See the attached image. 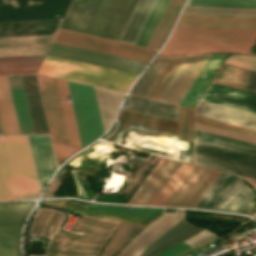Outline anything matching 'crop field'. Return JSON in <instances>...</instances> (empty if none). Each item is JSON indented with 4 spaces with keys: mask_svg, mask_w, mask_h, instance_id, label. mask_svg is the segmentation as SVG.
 <instances>
[{
    "mask_svg": "<svg viewBox=\"0 0 256 256\" xmlns=\"http://www.w3.org/2000/svg\"><path fill=\"white\" fill-rule=\"evenodd\" d=\"M96 98L101 116L103 130L105 131L111 124L120 102L125 94L96 88Z\"/></svg>",
    "mask_w": 256,
    "mask_h": 256,
    "instance_id": "obj_29",
    "label": "crop field"
},
{
    "mask_svg": "<svg viewBox=\"0 0 256 256\" xmlns=\"http://www.w3.org/2000/svg\"><path fill=\"white\" fill-rule=\"evenodd\" d=\"M122 109L175 121L176 106L131 95L127 96Z\"/></svg>",
    "mask_w": 256,
    "mask_h": 256,
    "instance_id": "obj_24",
    "label": "crop field"
},
{
    "mask_svg": "<svg viewBox=\"0 0 256 256\" xmlns=\"http://www.w3.org/2000/svg\"><path fill=\"white\" fill-rule=\"evenodd\" d=\"M202 100L256 113V93L211 82Z\"/></svg>",
    "mask_w": 256,
    "mask_h": 256,
    "instance_id": "obj_16",
    "label": "crop field"
},
{
    "mask_svg": "<svg viewBox=\"0 0 256 256\" xmlns=\"http://www.w3.org/2000/svg\"><path fill=\"white\" fill-rule=\"evenodd\" d=\"M137 0H74L61 28L117 41Z\"/></svg>",
    "mask_w": 256,
    "mask_h": 256,
    "instance_id": "obj_2",
    "label": "crop field"
},
{
    "mask_svg": "<svg viewBox=\"0 0 256 256\" xmlns=\"http://www.w3.org/2000/svg\"><path fill=\"white\" fill-rule=\"evenodd\" d=\"M186 6L256 8V0H188Z\"/></svg>",
    "mask_w": 256,
    "mask_h": 256,
    "instance_id": "obj_39",
    "label": "crop field"
},
{
    "mask_svg": "<svg viewBox=\"0 0 256 256\" xmlns=\"http://www.w3.org/2000/svg\"><path fill=\"white\" fill-rule=\"evenodd\" d=\"M225 56L226 54H211L208 61L204 65L203 69L181 102L182 105L194 107L198 100L197 97L201 96L202 92L206 88L207 84L213 77Z\"/></svg>",
    "mask_w": 256,
    "mask_h": 256,
    "instance_id": "obj_25",
    "label": "crop field"
},
{
    "mask_svg": "<svg viewBox=\"0 0 256 256\" xmlns=\"http://www.w3.org/2000/svg\"><path fill=\"white\" fill-rule=\"evenodd\" d=\"M193 164L256 179V155L196 140Z\"/></svg>",
    "mask_w": 256,
    "mask_h": 256,
    "instance_id": "obj_8",
    "label": "crop field"
},
{
    "mask_svg": "<svg viewBox=\"0 0 256 256\" xmlns=\"http://www.w3.org/2000/svg\"><path fill=\"white\" fill-rule=\"evenodd\" d=\"M209 56L210 54L187 55L159 100L180 104Z\"/></svg>",
    "mask_w": 256,
    "mask_h": 256,
    "instance_id": "obj_15",
    "label": "crop field"
},
{
    "mask_svg": "<svg viewBox=\"0 0 256 256\" xmlns=\"http://www.w3.org/2000/svg\"><path fill=\"white\" fill-rule=\"evenodd\" d=\"M40 190L56 170L49 136H28Z\"/></svg>",
    "mask_w": 256,
    "mask_h": 256,
    "instance_id": "obj_20",
    "label": "crop field"
},
{
    "mask_svg": "<svg viewBox=\"0 0 256 256\" xmlns=\"http://www.w3.org/2000/svg\"><path fill=\"white\" fill-rule=\"evenodd\" d=\"M154 0H140L120 41L133 44Z\"/></svg>",
    "mask_w": 256,
    "mask_h": 256,
    "instance_id": "obj_33",
    "label": "crop field"
},
{
    "mask_svg": "<svg viewBox=\"0 0 256 256\" xmlns=\"http://www.w3.org/2000/svg\"><path fill=\"white\" fill-rule=\"evenodd\" d=\"M74 228L85 230L83 236L57 232L46 256H97L114 226L79 217ZM58 241L62 243L57 244Z\"/></svg>",
    "mask_w": 256,
    "mask_h": 256,
    "instance_id": "obj_7",
    "label": "crop field"
},
{
    "mask_svg": "<svg viewBox=\"0 0 256 256\" xmlns=\"http://www.w3.org/2000/svg\"><path fill=\"white\" fill-rule=\"evenodd\" d=\"M143 226L122 222L115 235L106 245L101 256H112L133 234Z\"/></svg>",
    "mask_w": 256,
    "mask_h": 256,
    "instance_id": "obj_35",
    "label": "crop field"
},
{
    "mask_svg": "<svg viewBox=\"0 0 256 256\" xmlns=\"http://www.w3.org/2000/svg\"><path fill=\"white\" fill-rule=\"evenodd\" d=\"M256 31L175 28L160 54L232 52L249 54Z\"/></svg>",
    "mask_w": 256,
    "mask_h": 256,
    "instance_id": "obj_4",
    "label": "crop field"
},
{
    "mask_svg": "<svg viewBox=\"0 0 256 256\" xmlns=\"http://www.w3.org/2000/svg\"><path fill=\"white\" fill-rule=\"evenodd\" d=\"M63 209H66L71 212L85 213V214L114 218V219L137 223L141 225H146L147 223L150 222L149 220L136 218L128 215H123L115 212L81 209V208H76V207L67 206V205H64Z\"/></svg>",
    "mask_w": 256,
    "mask_h": 256,
    "instance_id": "obj_40",
    "label": "crop field"
},
{
    "mask_svg": "<svg viewBox=\"0 0 256 256\" xmlns=\"http://www.w3.org/2000/svg\"><path fill=\"white\" fill-rule=\"evenodd\" d=\"M20 134H33L20 76H7Z\"/></svg>",
    "mask_w": 256,
    "mask_h": 256,
    "instance_id": "obj_27",
    "label": "crop field"
},
{
    "mask_svg": "<svg viewBox=\"0 0 256 256\" xmlns=\"http://www.w3.org/2000/svg\"><path fill=\"white\" fill-rule=\"evenodd\" d=\"M53 35L0 38V56L44 54Z\"/></svg>",
    "mask_w": 256,
    "mask_h": 256,
    "instance_id": "obj_21",
    "label": "crop field"
},
{
    "mask_svg": "<svg viewBox=\"0 0 256 256\" xmlns=\"http://www.w3.org/2000/svg\"><path fill=\"white\" fill-rule=\"evenodd\" d=\"M53 213H54V211L41 209L38 216L36 215L37 216L36 219L34 218L35 221L30 229L29 235H30V233H32L38 237L49 238L54 233L56 225H57L58 221L60 220V218L62 217V214L58 213L57 217L55 218V220L52 223L49 234H47V233H45L46 226L48 224L49 219L53 215Z\"/></svg>",
    "mask_w": 256,
    "mask_h": 256,
    "instance_id": "obj_38",
    "label": "crop field"
},
{
    "mask_svg": "<svg viewBox=\"0 0 256 256\" xmlns=\"http://www.w3.org/2000/svg\"><path fill=\"white\" fill-rule=\"evenodd\" d=\"M183 218V215L164 213L138 234L117 256H139L157 237ZM200 228L182 220L153 241L140 256H150Z\"/></svg>",
    "mask_w": 256,
    "mask_h": 256,
    "instance_id": "obj_6",
    "label": "crop field"
},
{
    "mask_svg": "<svg viewBox=\"0 0 256 256\" xmlns=\"http://www.w3.org/2000/svg\"><path fill=\"white\" fill-rule=\"evenodd\" d=\"M34 134H48L35 75L21 76Z\"/></svg>",
    "mask_w": 256,
    "mask_h": 256,
    "instance_id": "obj_23",
    "label": "crop field"
},
{
    "mask_svg": "<svg viewBox=\"0 0 256 256\" xmlns=\"http://www.w3.org/2000/svg\"><path fill=\"white\" fill-rule=\"evenodd\" d=\"M47 54L118 69L122 71L132 72L136 74H139L142 69L147 65L146 62L64 46L55 43L51 44Z\"/></svg>",
    "mask_w": 256,
    "mask_h": 256,
    "instance_id": "obj_12",
    "label": "crop field"
},
{
    "mask_svg": "<svg viewBox=\"0 0 256 256\" xmlns=\"http://www.w3.org/2000/svg\"><path fill=\"white\" fill-rule=\"evenodd\" d=\"M56 213H54V215L52 216V218H51V220H50V222H49V224H48V227H47V230H46V232L48 233L49 232V229H50V226H51V223H52V221H53V219L56 217Z\"/></svg>",
    "mask_w": 256,
    "mask_h": 256,
    "instance_id": "obj_47",
    "label": "crop field"
},
{
    "mask_svg": "<svg viewBox=\"0 0 256 256\" xmlns=\"http://www.w3.org/2000/svg\"><path fill=\"white\" fill-rule=\"evenodd\" d=\"M195 114L256 130V114L202 101Z\"/></svg>",
    "mask_w": 256,
    "mask_h": 256,
    "instance_id": "obj_19",
    "label": "crop field"
},
{
    "mask_svg": "<svg viewBox=\"0 0 256 256\" xmlns=\"http://www.w3.org/2000/svg\"><path fill=\"white\" fill-rule=\"evenodd\" d=\"M220 174L195 166L165 206L194 208Z\"/></svg>",
    "mask_w": 256,
    "mask_h": 256,
    "instance_id": "obj_14",
    "label": "crop field"
},
{
    "mask_svg": "<svg viewBox=\"0 0 256 256\" xmlns=\"http://www.w3.org/2000/svg\"><path fill=\"white\" fill-rule=\"evenodd\" d=\"M193 167V165L182 163L150 205L164 206L175 190L193 169Z\"/></svg>",
    "mask_w": 256,
    "mask_h": 256,
    "instance_id": "obj_34",
    "label": "crop field"
},
{
    "mask_svg": "<svg viewBox=\"0 0 256 256\" xmlns=\"http://www.w3.org/2000/svg\"><path fill=\"white\" fill-rule=\"evenodd\" d=\"M33 202L0 204V232L20 233ZM0 233V256H18L20 234Z\"/></svg>",
    "mask_w": 256,
    "mask_h": 256,
    "instance_id": "obj_13",
    "label": "crop field"
},
{
    "mask_svg": "<svg viewBox=\"0 0 256 256\" xmlns=\"http://www.w3.org/2000/svg\"><path fill=\"white\" fill-rule=\"evenodd\" d=\"M53 42L146 62H149V60L157 52L155 50L66 32L62 30L58 31Z\"/></svg>",
    "mask_w": 256,
    "mask_h": 256,
    "instance_id": "obj_10",
    "label": "crop field"
},
{
    "mask_svg": "<svg viewBox=\"0 0 256 256\" xmlns=\"http://www.w3.org/2000/svg\"><path fill=\"white\" fill-rule=\"evenodd\" d=\"M0 134H2V132H1V127H0Z\"/></svg>",
    "mask_w": 256,
    "mask_h": 256,
    "instance_id": "obj_49",
    "label": "crop field"
},
{
    "mask_svg": "<svg viewBox=\"0 0 256 256\" xmlns=\"http://www.w3.org/2000/svg\"><path fill=\"white\" fill-rule=\"evenodd\" d=\"M182 14L256 16V9L185 7Z\"/></svg>",
    "mask_w": 256,
    "mask_h": 256,
    "instance_id": "obj_36",
    "label": "crop field"
},
{
    "mask_svg": "<svg viewBox=\"0 0 256 256\" xmlns=\"http://www.w3.org/2000/svg\"><path fill=\"white\" fill-rule=\"evenodd\" d=\"M214 238H216V237H214L212 234L203 230V231L197 233L196 235L190 237L189 239H187L183 242H185L188 245L194 247L196 245L207 242V241L212 240Z\"/></svg>",
    "mask_w": 256,
    "mask_h": 256,
    "instance_id": "obj_44",
    "label": "crop field"
},
{
    "mask_svg": "<svg viewBox=\"0 0 256 256\" xmlns=\"http://www.w3.org/2000/svg\"><path fill=\"white\" fill-rule=\"evenodd\" d=\"M43 55L0 57V75L35 73Z\"/></svg>",
    "mask_w": 256,
    "mask_h": 256,
    "instance_id": "obj_30",
    "label": "crop field"
},
{
    "mask_svg": "<svg viewBox=\"0 0 256 256\" xmlns=\"http://www.w3.org/2000/svg\"><path fill=\"white\" fill-rule=\"evenodd\" d=\"M169 0H155L134 44L146 47Z\"/></svg>",
    "mask_w": 256,
    "mask_h": 256,
    "instance_id": "obj_32",
    "label": "crop field"
},
{
    "mask_svg": "<svg viewBox=\"0 0 256 256\" xmlns=\"http://www.w3.org/2000/svg\"><path fill=\"white\" fill-rule=\"evenodd\" d=\"M0 122L3 134H19L6 76H0Z\"/></svg>",
    "mask_w": 256,
    "mask_h": 256,
    "instance_id": "obj_28",
    "label": "crop field"
},
{
    "mask_svg": "<svg viewBox=\"0 0 256 256\" xmlns=\"http://www.w3.org/2000/svg\"><path fill=\"white\" fill-rule=\"evenodd\" d=\"M195 121L256 137V131L195 115Z\"/></svg>",
    "mask_w": 256,
    "mask_h": 256,
    "instance_id": "obj_42",
    "label": "crop field"
},
{
    "mask_svg": "<svg viewBox=\"0 0 256 256\" xmlns=\"http://www.w3.org/2000/svg\"><path fill=\"white\" fill-rule=\"evenodd\" d=\"M252 54H256V47L252 50Z\"/></svg>",
    "mask_w": 256,
    "mask_h": 256,
    "instance_id": "obj_48",
    "label": "crop field"
},
{
    "mask_svg": "<svg viewBox=\"0 0 256 256\" xmlns=\"http://www.w3.org/2000/svg\"><path fill=\"white\" fill-rule=\"evenodd\" d=\"M176 27L256 30V18L182 15Z\"/></svg>",
    "mask_w": 256,
    "mask_h": 256,
    "instance_id": "obj_18",
    "label": "crop field"
},
{
    "mask_svg": "<svg viewBox=\"0 0 256 256\" xmlns=\"http://www.w3.org/2000/svg\"><path fill=\"white\" fill-rule=\"evenodd\" d=\"M180 162L162 158L128 204L149 205L180 166Z\"/></svg>",
    "mask_w": 256,
    "mask_h": 256,
    "instance_id": "obj_17",
    "label": "crop field"
},
{
    "mask_svg": "<svg viewBox=\"0 0 256 256\" xmlns=\"http://www.w3.org/2000/svg\"><path fill=\"white\" fill-rule=\"evenodd\" d=\"M190 248H192V247H190L187 244L182 242V243L166 250L165 252H163V253H161L157 256H175V255H177V254H179V253H181V252H183L187 249H190Z\"/></svg>",
    "mask_w": 256,
    "mask_h": 256,
    "instance_id": "obj_45",
    "label": "crop field"
},
{
    "mask_svg": "<svg viewBox=\"0 0 256 256\" xmlns=\"http://www.w3.org/2000/svg\"><path fill=\"white\" fill-rule=\"evenodd\" d=\"M213 82L256 92V72L223 64Z\"/></svg>",
    "mask_w": 256,
    "mask_h": 256,
    "instance_id": "obj_26",
    "label": "crop field"
},
{
    "mask_svg": "<svg viewBox=\"0 0 256 256\" xmlns=\"http://www.w3.org/2000/svg\"><path fill=\"white\" fill-rule=\"evenodd\" d=\"M225 64L256 71V56L231 55Z\"/></svg>",
    "mask_w": 256,
    "mask_h": 256,
    "instance_id": "obj_43",
    "label": "crop field"
},
{
    "mask_svg": "<svg viewBox=\"0 0 256 256\" xmlns=\"http://www.w3.org/2000/svg\"><path fill=\"white\" fill-rule=\"evenodd\" d=\"M37 77L59 166L69 156L81 150L67 83L50 77Z\"/></svg>",
    "mask_w": 256,
    "mask_h": 256,
    "instance_id": "obj_1",
    "label": "crop field"
},
{
    "mask_svg": "<svg viewBox=\"0 0 256 256\" xmlns=\"http://www.w3.org/2000/svg\"><path fill=\"white\" fill-rule=\"evenodd\" d=\"M40 74L127 92L136 74L47 55Z\"/></svg>",
    "mask_w": 256,
    "mask_h": 256,
    "instance_id": "obj_5",
    "label": "crop field"
},
{
    "mask_svg": "<svg viewBox=\"0 0 256 256\" xmlns=\"http://www.w3.org/2000/svg\"><path fill=\"white\" fill-rule=\"evenodd\" d=\"M84 208L115 211V212L128 214L136 217H141L149 220H152L163 211V209H146V208L102 206V205H84Z\"/></svg>",
    "mask_w": 256,
    "mask_h": 256,
    "instance_id": "obj_37",
    "label": "crop field"
},
{
    "mask_svg": "<svg viewBox=\"0 0 256 256\" xmlns=\"http://www.w3.org/2000/svg\"><path fill=\"white\" fill-rule=\"evenodd\" d=\"M184 0H170L147 47L159 49L166 38Z\"/></svg>",
    "mask_w": 256,
    "mask_h": 256,
    "instance_id": "obj_31",
    "label": "crop field"
},
{
    "mask_svg": "<svg viewBox=\"0 0 256 256\" xmlns=\"http://www.w3.org/2000/svg\"><path fill=\"white\" fill-rule=\"evenodd\" d=\"M67 83L72 99L81 147L84 148L103 133L94 89L87 85L69 81Z\"/></svg>",
    "mask_w": 256,
    "mask_h": 256,
    "instance_id": "obj_9",
    "label": "crop field"
},
{
    "mask_svg": "<svg viewBox=\"0 0 256 256\" xmlns=\"http://www.w3.org/2000/svg\"><path fill=\"white\" fill-rule=\"evenodd\" d=\"M194 128L256 144V138L251 137V136L223 130L220 128H216V127H212V126H208V125H204V124H200V123H196V122H195Z\"/></svg>",
    "mask_w": 256,
    "mask_h": 256,
    "instance_id": "obj_41",
    "label": "crop field"
},
{
    "mask_svg": "<svg viewBox=\"0 0 256 256\" xmlns=\"http://www.w3.org/2000/svg\"><path fill=\"white\" fill-rule=\"evenodd\" d=\"M0 140V200L35 198L40 194L27 136Z\"/></svg>",
    "mask_w": 256,
    "mask_h": 256,
    "instance_id": "obj_3",
    "label": "crop field"
},
{
    "mask_svg": "<svg viewBox=\"0 0 256 256\" xmlns=\"http://www.w3.org/2000/svg\"><path fill=\"white\" fill-rule=\"evenodd\" d=\"M76 182L78 194L87 199L86 192L80 179L79 171L71 172Z\"/></svg>",
    "mask_w": 256,
    "mask_h": 256,
    "instance_id": "obj_46",
    "label": "crop field"
},
{
    "mask_svg": "<svg viewBox=\"0 0 256 256\" xmlns=\"http://www.w3.org/2000/svg\"><path fill=\"white\" fill-rule=\"evenodd\" d=\"M185 57L186 55L159 56L140 77L130 93L158 100Z\"/></svg>",
    "mask_w": 256,
    "mask_h": 256,
    "instance_id": "obj_11",
    "label": "crop field"
},
{
    "mask_svg": "<svg viewBox=\"0 0 256 256\" xmlns=\"http://www.w3.org/2000/svg\"><path fill=\"white\" fill-rule=\"evenodd\" d=\"M61 19L0 22V37L54 34Z\"/></svg>",
    "mask_w": 256,
    "mask_h": 256,
    "instance_id": "obj_22",
    "label": "crop field"
}]
</instances>
